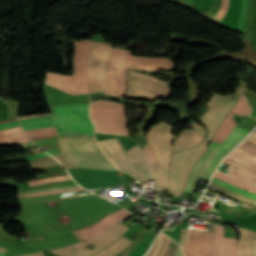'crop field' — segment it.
Returning <instances> with one entry per match:
<instances>
[{
  "mask_svg": "<svg viewBox=\"0 0 256 256\" xmlns=\"http://www.w3.org/2000/svg\"><path fill=\"white\" fill-rule=\"evenodd\" d=\"M54 117L58 137L94 136V126L89 118V104L49 106ZM61 154L74 166L116 171L113 164L99 150L93 137L58 138ZM66 169L73 179L86 188L125 184L117 172L87 169ZM85 188V189H86Z\"/></svg>",
  "mask_w": 256,
  "mask_h": 256,
  "instance_id": "1",
  "label": "crop field"
},
{
  "mask_svg": "<svg viewBox=\"0 0 256 256\" xmlns=\"http://www.w3.org/2000/svg\"><path fill=\"white\" fill-rule=\"evenodd\" d=\"M99 144L117 166L131 172L141 182L156 179L157 189H165L166 172L148 143L143 149L136 145L127 151L117 138L100 141Z\"/></svg>",
  "mask_w": 256,
  "mask_h": 256,
  "instance_id": "2",
  "label": "crop field"
},
{
  "mask_svg": "<svg viewBox=\"0 0 256 256\" xmlns=\"http://www.w3.org/2000/svg\"><path fill=\"white\" fill-rule=\"evenodd\" d=\"M208 143L204 141L195 148L173 154L168 182V189L173 196H181L190 167L204 152Z\"/></svg>",
  "mask_w": 256,
  "mask_h": 256,
  "instance_id": "3",
  "label": "crop field"
},
{
  "mask_svg": "<svg viewBox=\"0 0 256 256\" xmlns=\"http://www.w3.org/2000/svg\"><path fill=\"white\" fill-rule=\"evenodd\" d=\"M87 59L88 94L103 90L107 60L111 45L89 41Z\"/></svg>",
  "mask_w": 256,
  "mask_h": 256,
  "instance_id": "4",
  "label": "crop field"
},
{
  "mask_svg": "<svg viewBox=\"0 0 256 256\" xmlns=\"http://www.w3.org/2000/svg\"><path fill=\"white\" fill-rule=\"evenodd\" d=\"M131 53L132 51L112 47L107 79L104 86L105 94L124 96L127 66L131 58Z\"/></svg>",
  "mask_w": 256,
  "mask_h": 256,
  "instance_id": "5",
  "label": "crop field"
},
{
  "mask_svg": "<svg viewBox=\"0 0 256 256\" xmlns=\"http://www.w3.org/2000/svg\"><path fill=\"white\" fill-rule=\"evenodd\" d=\"M169 94L166 82L129 71L127 97L155 100L158 97L168 98Z\"/></svg>",
  "mask_w": 256,
  "mask_h": 256,
  "instance_id": "6",
  "label": "crop field"
},
{
  "mask_svg": "<svg viewBox=\"0 0 256 256\" xmlns=\"http://www.w3.org/2000/svg\"><path fill=\"white\" fill-rule=\"evenodd\" d=\"M245 88L246 83L242 81L234 95L222 97L215 94L214 97L209 101L207 106L210 108L200 118V121L207 127L209 131V134L206 138L207 141H210L216 128L219 126L231 108L235 105L240 94Z\"/></svg>",
  "mask_w": 256,
  "mask_h": 256,
  "instance_id": "7",
  "label": "crop field"
},
{
  "mask_svg": "<svg viewBox=\"0 0 256 256\" xmlns=\"http://www.w3.org/2000/svg\"><path fill=\"white\" fill-rule=\"evenodd\" d=\"M128 228L129 226L120 222L116 227L93 240L76 244L67 248L51 251V253L57 256H89L116 241L121 235L125 233ZM89 245H93L92 250L83 249L84 246Z\"/></svg>",
  "mask_w": 256,
  "mask_h": 256,
  "instance_id": "8",
  "label": "crop field"
},
{
  "mask_svg": "<svg viewBox=\"0 0 256 256\" xmlns=\"http://www.w3.org/2000/svg\"><path fill=\"white\" fill-rule=\"evenodd\" d=\"M147 139L155 149L162 167L168 172L172 152L173 127L159 122L150 129Z\"/></svg>",
  "mask_w": 256,
  "mask_h": 256,
  "instance_id": "9",
  "label": "crop field"
},
{
  "mask_svg": "<svg viewBox=\"0 0 256 256\" xmlns=\"http://www.w3.org/2000/svg\"><path fill=\"white\" fill-rule=\"evenodd\" d=\"M249 131L244 130L235 126V128L231 131L228 137L224 139V141L220 144V146L215 150L213 156L210 161L206 165L205 169L200 175V178H204L209 180L211 175L213 174L217 164L224 157V155L231 150L239 141H241Z\"/></svg>",
  "mask_w": 256,
  "mask_h": 256,
  "instance_id": "10",
  "label": "crop field"
},
{
  "mask_svg": "<svg viewBox=\"0 0 256 256\" xmlns=\"http://www.w3.org/2000/svg\"><path fill=\"white\" fill-rule=\"evenodd\" d=\"M214 234L190 230L188 239L182 249L184 256H210Z\"/></svg>",
  "mask_w": 256,
  "mask_h": 256,
  "instance_id": "11",
  "label": "crop field"
},
{
  "mask_svg": "<svg viewBox=\"0 0 256 256\" xmlns=\"http://www.w3.org/2000/svg\"><path fill=\"white\" fill-rule=\"evenodd\" d=\"M130 215L127 211L124 209L113 212L103 219H101L99 222L88 226L84 229L74 231V233L77 235V233H81V235H77V237L80 240L85 239H91L95 236H98L102 234L103 232L107 231L108 229L115 226L122 218Z\"/></svg>",
  "mask_w": 256,
  "mask_h": 256,
  "instance_id": "12",
  "label": "crop field"
},
{
  "mask_svg": "<svg viewBox=\"0 0 256 256\" xmlns=\"http://www.w3.org/2000/svg\"><path fill=\"white\" fill-rule=\"evenodd\" d=\"M119 108H120V117H121L123 135H130L128 126H127L125 105L119 104ZM91 119L94 122V124L121 126L119 119H112V118H91ZM101 125H95L96 126L95 133L122 135L121 127L101 126Z\"/></svg>",
  "mask_w": 256,
  "mask_h": 256,
  "instance_id": "13",
  "label": "crop field"
},
{
  "mask_svg": "<svg viewBox=\"0 0 256 256\" xmlns=\"http://www.w3.org/2000/svg\"><path fill=\"white\" fill-rule=\"evenodd\" d=\"M224 226L216 225L211 256H237V239L223 237Z\"/></svg>",
  "mask_w": 256,
  "mask_h": 256,
  "instance_id": "14",
  "label": "crop field"
},
{
  "mask_svg": "<svg viewBox=\"0 0 256 256\" xmlns=\"http://www.w3.org/2000/svg\"><path fill=\"white\" fill-rule=\"evenodd\" d=\"M189 126L194 130H185L178 138H176L174 152L197 145L204 139V129H202L196 122L190 124Z\"/></svg>",
  "mask_w": 256,
  "mask_h": 256,
  "instance_id": "15",
  "label": "crop field"
},
{
  "mask_svg": "<svg viewBox=\"0 0 256 256\" xmlns=\"http://www.w3.org/2000/svg\"><path fill=\"white\" fill-rule=\"evenodd\" d=\"M128 67L141 68L144 70H168L173 68V63L172 59H148L132 57Z\"/></svg>",
  "mask_w": 256,
  "mask_h": 256,
  "instance_id": "16",
  "label": "crop field"
},
{
  "mask_svg": "<svg viewBox=\"0 0 256 256\" xmlns=\"http://www.w3.org/2000/svg\"><path fill=\"white\" fill-rule=\"evenodd\" d=\"M218 145H219L218 143L212 142L210 147L205 151V153L196 162V164L194 165V167L190 173V177H189V180H188V183H187V186H186V189L184 192H186V193L192 192L200 173L202 172L203 168L207 164L208 160L210 159V157L212 156L214 150L218 147Z\"/></svg>",
  "mask_w": 256,
  "mask_h": 256,
  "instance_id": "17",
  "label": "crop field"
},
{
  "mask_svg": "<svg viewBox=\"0 0 256 256\" xmlns=\"http://www.w3.org/2000/svg\"><path fill=\"white\" fill-rule=\"evenodd\" d=\"M241 233L240 238V248L238 256H255L254 252V242H255V235L256 232L238 228Z\"/></svg>",
  "mask_w": 256,
  "mask_h": 256,
  "instance_id": "18",
  "label": "crop field"
},
{
  "mask_svg": "<svg viewBox=\"0 0 256 256\" xmlns=\"http://www.w3.org/2000/svg\"><path fill=\"white\" fill-rule=\"evenodd\" d=\"M171 240L162 234L161 237L158 239L154 249L153 250L151 249L152 250V251L150 250L151 253L149 252L150 254L148 253L149 255L148 254L147 255L148 256H171L177 246V244L174 243L175 241L173 242Z\"/></svg>",
  "mask_w": 256,
  "mask_h": 256,
  "instance_id": "19",
  "label": "crop field"
},
{
  "mask_svg": "<svg viewBox=\"0 0 256 256\" xmlns=\"http://www.w3.org/2000/svg\"><path fill=\"white\" fill-rule=\"evenodd\" d=\"M223 162L234 166V168L228 173L229 175H232L241 180H244L246 182L256 185V172L255 171H253L249 168L243 167L234 162H231L227 159H225Z\"/></svg>",
  "mask_w": 256,
  "mask_h": 256,
  "instance_id": "20",
  "label": "crop field"
},
{
  "mask_svg": "<svg viewBox=\"0 0 256 256\" xmlns=\"http://www.w3.org/2000/svg\"><path fill=\"white\" fill-rule=\"evenodd\" d=\"M131 242L132 240L123 236L113 245L105 248L104 250L100 251L99 253L93 256H115L118 253H120L123 249H125Z\"/></svg>",
  "mask_w": 256,
  "mask_h": 256,
  "instance_id": "21",
  "label": "crop field"
},
{
  "mask_svg": "<svg viewBox=\"0 0 256 256\" xmlns=\"http://www.w3.org/2000/svg\"><path fill=\"white\" fill-rule=\"evenodd\" d=\"M20 123L24 126L25 130L54 126L52 116H44L35 119L23 120L20 121Z\"/></svg>",
  "mask_w": 256,
  "mask_h": 256,
  "instance_id": "22",
  "label": "crop field"
},
{
  "mask_svg": "<svg viewBox=\"0 0 256 256\" xmlns=\"http://www.w3.org/2000/svg\"><path fill=\"white\" fill-rule=\"evenodd\" d=\"M25 136L26 134L21 128V126L0 130V141L13 140V139H17Z\"/></svg>",
  "mask_w": 256,
  "mask_h": 256,
  "instance_id": "23",
  "label": "crop field"
},
{
  "mask_svg": "<svg viewBox=\"0 0 256 256\" xmlns=\"http://www.w3.org/2000/svg\"><path fill=\"white\" fill-rule=\"evenodd\" d=\"M215 177L220 178V179H222V180H224V181H226V182H228L230 184L242 187V188H244V189H246V190H248L250 192L256 193V187H253V186L248 185V184H246L244 182H241V181H238L236 179H233V178H231V177H229V176H227V175H225V174H223L221 172H216Z\"/></svg>",
  "mask_w": 256,
  "mask_h": 256,
  "instance_id": "24",
  "label": "crop field"
},
{
  "mask_svg": "<svg viewBox=\"0 0 256 256\" xmlns=\"http://www.w3.org/2000/svg\"><path fill=\"white\" fill-rule=\"evenodd\" d=\"M210 185L213 186V187L218 188V191H220V192H222V193H224V194H226V195H228V196H230V197H232V198H234V199H237V200H240V201H242V202H245V203L252 204V205H255V206H256V201L253 200V199H250V198L244 197V196H242V195L236 194V193H234V192H232V191H229V190H227V189H224V188H222V187H220V186H218V185L212 184V183H211ZM222 193H221V194H222ZM224 194H223V195H224ZM226 195H225V196H226Z\"/></svg>",
  "mask_w": 256,
  "mask_h": 256,
  "instance_id": "25",
  "label": "crop field"
},
{
  "mask_svg": "<svg viewBox=\"0 0 256 256\" xmlns=\"http://www.w3.org/2000/svg\"><path fill=\"white\" fill-rule=\"evenodd\" d=\"M212 181L217 183V184H219V185H221V186H223V187H225V188H228V189H230V190H232L234 192H237V193H240L242 195L248 196L250 198L256 199V194H253V193L244 191L242 189H239V188H237L235 186H232V185H230V184H228V183H226V182H224V181H222L220 179H217V178L214 177Z\"/></svg>",
  "mask_w": 256,
  "mask_h": 256,
  "instance_id": "26",
  "label": "crop field"
},
{
  "mask_svg": "<svg viewBox=\"0 0 256 256\" xmlns=\"http://www.w3.org/2000/svg\"><path fill=\"white\" fill-rule=\"evenodd\" d=\"M69 179H70L69 175H64V176H57V177L41 179V180H37V181H31L28 183L30 186H34V185H38V184L49 183V182L58 181V180H69Z\"/></svg>",
  "mask_w": 256,
  "mask_h": 256,
  "instance_id": "27",
  "label": "crop field"
},
{
  "mask_svg": "<svg viewBox=\"0 0 256 256\" xmlns=\"http://www.w3.org/2000/svg\"><path fill=\"white\" fill-rule=\"evenodd\" d=\"M80 190H85V189H82V188L67 189V190H61V191L35 193V194H30V195H17V197L41 196V195L57 194V193L72 192V191H80Z\"/></svg>",
  "mask_w": 256,
  "mask_h": 256,
  "instance_id": "28",
  "label": "crop field"
},
{
  "mask_svg": "<svg viewBox=\"0 0 256 256\" xmlns=\"http://www.w3.org/2000/svg\"><path fill=\"white\" fill-rule=\"evenodd\" d=\"M239 148L256 155V144H253L247 140L241 146H239Z\"/></svg>",
  "mask_w": 256,
  "mask_h": 256,
  "instance_id": "29",
  "label": "crop field"
},
{
  "mask_svg": "<svg viewBox=\"0 0 256 256\" xmlns=\"http://www.w3.org/2000/svg\"><path fill=\"white\" fill-rule=\"evenodd\" d=\"M228 6H229V0H223L222 6H221L216 18L222 20L223 16L225 15V13L228 9Z\"/></svg>",
  "mask_w": 256,
  "mask_h": 256,
  "instance_id": "30",
  "label": "crop field"
},
{
  "mask_svg": "<svg viewBox=\"0 0 256 256\" xmlns=\"http://www.w3.org/2000/svg\"><path fill=\"white\" fill-rule=\"evenodd\" d=\"M79 187L78 185H72V186H63V187H55V188H47V189H41V190H35L30 192H18V194H28V193H34V192H43V191H51L55 189H64V188H76Z\"/></svg>",
  "mask_w": 256,
  "mask_h": 256,
  "instance_id": "31",
  "label": "crop field"
},
{
  "mask_svg": "<svg viewBox=\"0 0 256 256\" xmlns=\"http://www.w3.org/2000/svg\"><path fill=\"white\" fill-rule=\"evenodd\" d=\"M26 142H30L28 137L17 139V140H13V141H9V142H1V144H2V146H7V145L26 143ZM1 144H0V146H1Z\"/></svg>",
  "mask_w": 256,
  "mask_h": 256,
  "instance_id": "32",
  "label": "crop field"
},
{
  "mask_svg": "<svg viewBox=\"0 0 256 256\" xmlns=\"http://www.w3.org/2000/svg\"><path fill=\"white\" fill-rule=\"evenodd\" d=\"M56 135V131L54 132H49V133H43V134H37V135H31V139L35 140V139H39V138H46V137H51V136H55Z\"/></svg>",
  "mask_w": 256,
  "mask_h": 256,
  "instance_id": "33",
  "label": "crop field"
},
{
  "mask_svg": "<svg viewBox=\"0 0 256 256\" xmlns=\"http://www.w3.org/2000/svg\"><path fill=\"white\" fill-rule=\"evenodd\" d=\"M55 128H42V129H34V130H28V135L36 134V133H42V132H48V131H54Z\"/></svg>",
  "mask_w": 256,
  "mask_h": 256,
  "instance_id": "34",
  "label": "crop field"
},
{
  "mask_svg": "<svg viewBox=\"0 0 256 256\" xmlns=\"http://www.w3.org/2000/svg\"><path fill=\"white\" fill-rule=\"evenodd\" d=\"M18 125H20L19 121L4 123V124H0V129L14 127V126H18Z\"/></svg>",
  "mask_w": 256,
  "mask_h": 256,
  "instance_id": "35",
  "label": "crop field"
},
{
  "mask_svg": "<svg viewBox=\"0 0 256 256\" xmlns=\"http://www.w3.org/2000/svg\"><path fill=\"white\" fill-rule=\"evenodd\" d=\"M43 115H51V113H43V114H37V115H30V116L20 117L18 119L19 120H21V119H29V118H32V117L43 116Z\"/></svg>",
  "mask_w": 256,
  "mask_h": 256,
  "instance_id": "36",
  "label": "crop field"
},
{
  "mask_svg": "<svg viewBox=\"0 0 256 256\" xmlns=\"http://www.w3.org/2000/svg\"><path fill=\"white\" fill-rule=\"evenodd\" d=\"M44 156H48V154L42 152V153H39V154H37V155L29 156V157H30V159L32 160V159H36V158H40V157H44Z\"/></svg>",
  "mask_w": 256,
  "mask_h": 256,
  "instance_id": "37",
  "label": "crop field"
},
{
  "mask_svg": "<svg viewBox=\"0 0 256 256\" xmlns=\"http://www.w3.org/2000/svg\"><path fill=\"white\" fill-rule=\"evenodd\" d=\"M248 140L256 143V131L253 132V134L248 138Z\"/></svg>",
  "mask_w": 256,
  "mask_h": 256,
  "instance_id": "38",
  "label": "crop field"
},
{
  "mask_svg": "<svg viewBox=\"0 0 256 256\" xmlns=\"http://www.w3.org/2000/svg\"><path fill=\"white\" fill-rule=\"evenodd\" d=\"M173 256H182L181 253H180V250H179V247L177 246Z\"/></svg>",
  "mask_w": 256,
  "mask_h": 256,
  "instance_id": "39",
  "label": "crop field"
},
{
  "mask_svg": "<svg viewBox=\"0 0 256 256\" xmlns=\"http://www.w3.org/2000/svg\"><path fill=\"white\" fill-rule=\"evenodd\" d=\"M47 153L54 155V154H58L60 152H59V149H56V150H52V151H47Z\"/></svg>",
  "mask_w": 256,
  "mask_h": 256,
  "instance_id": "40",
  "label": "crop field"
},
{
  "mask_svg": "<svg viewBox=\"0 0 256 256\" xmlns=\"http://www.w3.org/2000/svg\"><path fill=\"white\" fill-rule=\"evenodd\" d=\"M14 120H17L16 118L14 119H9V120H5V121H1L0 123H4V122H8V121H14Z\"/></svg>",
  "mask_w": 256,
  "mask_h": 256,
  "instance_id": "41",
  "label": "crop field"
},
{
  "mask_svg": "<svg viewBox=\"0 0 256 256\" xmlns=\"http://www.w3.org/2000/svg\"><path fill=\"white\" fill-rule=\"evenodd\" d=\"M29 256H44L43 253H39V254H34V255H29Z\"/></svg>",
  "mask_w": 256,
  "mask_h": 256,
  "instance_id": "42",
  "label": "crop field"
},
{
  "mask_svg": "<svg viewBox=\"0 0 256 256\" xmlns=\"http://www.w3.org/2000/svg\"><path fill=\"white\" fill-rule=\"evenodd\" d=\"M4 250H5V249H3V248H0V252H4Z\"/></svg>",
  "mask_w": 256,
  "mask_h": 256,
  "instance_id": "43",
  "label": "crop field"
}]
</instances>
